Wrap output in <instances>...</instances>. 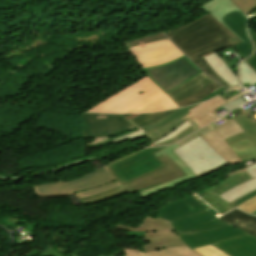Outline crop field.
I'll return each mask as SVG.
<instances>
[{"mask_svg": "<svg viewBox=\"0 0 256 256\" xmlns=\"http://www.w3.org/2000/svg\"><path fill=\"white\" fill-rule=\"evenodd\" d=\"M215 124H210L199 131L191 134L187 138L180 141L179 146L188 142L189 140L201 136L206 142H208L220 155H222L230 164L241 162V160L232 152L227 146L228 144L220 137V135L213 128Z\"/></svg>", "mask_w": 256, "mask_h": 256, "instance_id": "d9b57169", "label": "crop field"}, {"mask_svg": "<svg viewBox=\"0 0 256 256\" xmlns=\"http://www.w3.org/2000/svg\"><path fill=\"white\" fill-rule=\"evenodd\" d=\"M187 118H191L188 114L185 116H182L170 124L166 126H162L156 130L144 133L145 137L149 140V142L152 144L153 142L157 141L158 139L162 138L163 136H166L169 134L171 131L176 129L184 120ZM191 120V119H190ZM192 121V120H191ZM193 122V121H192ZM194 123V122H193ZM195 125V124H194ZM196 126V125H195ZM197 127V126H196ZM198 128V127H197ZM199 129V128H198Z\"/></svg>", "mask_w": 256, "mask_h": 256, "instance_id": "eef30255", "label": "crop field"}, {"mask_svg": "<svg viewBox=\"0 0 256 256\" xmlns=\"http://www.w3.org/2000/svg\"><path fill=\"white\" fill-rule=\"evenodd\" d=\"M239 78L242 85L256 83V72L251 69L244 61L239 64Z\"/></svg>", "mask_w": 256, "mask_h": 256, "instance_id": "120bbe31", "label": "crop field"}, {"mask_svg": "<svg viewBox=\"0 0 256 256\" xmlns=\"http://www.w3.org/2000/svg\"><path fill=\"white\" fill-rule=\"evenodd\" d=\"M165 147L145 149L135 155L112 163L107 168L122 183H127L148 173L156 171L165 165L153 154Z\"/></svg>", "mask_w": 256, "mask_h": 256, "instance_id": "d8731c3e", "label": "crop field"}, {"mask_svg": "<svg viewBox=\"0 0 256 256\" xmlns=\"http://www.w3.org/2000/svg\"><path fill=\"white\" fill-rule=\"evenodd\" d=\"M200 202H198L191 195L184 197L183 199L179 198L173 202L164 204L161 208L157 209L155 212L161 213L160 216L167 221L189 216L197 212L206 210Z\"/></svg>", "mask_w": 256, "mask_h": 256, "instance_id": "5142ce71", "label": "crop field"}, {"mask_svg": "<svg viewBox=\"0 0 256 256\" xmlns=\"http://www.w3.org/2000/svg\"><path fill=\"white\" fill-rule=\"evenodd\" d=\"M159 159L167 166L156 172L124 184L125 189L132 193L149 186L162 184L166 181L186 175L166 154Z\"/></svg>", "mask_w": 256, "mask_h": 256, "instance_id": "28ad6ade", "label": "crop field"}, {"mask_svg": "<svg viewBox=\"0 0 256 256\" xmlns=\"http://www.w3.org/2000/svg\"><path fill=\"white\" fill-rule=\"evenodd\" d=\"M166 35L207 75L225 88H231L202 58L241 42L217 20L207 14Z\"/></svg>", "mask_w": 256, "mask_h": 256, "instance_id": "8a807250", "label": "crop field"}, {"mask_svg": "<svg viewBox=\"0 0 256 256\" xmlns=\"http://www.w3.org/2000/svg\"><path fill=\"white\" fill-rule=\"evenodd\" d=\"M222 86H220L219 84H217L216 82L213 83L212 85H210L209 87H207L206 89H204L203 91L193 95L192 97L185 99L183 101L177 102L175 103L178 107H182V106H186V105H191L197 101H199L200 99L204 98L205 96H207L208 94L212 93L213 91L217 90L218 88H220Z\"/></svg>", "mask_w": 256, "mask_h": 256, "instance_id": "1d83c4d3", "label": "crop field"}, {"mask_svg": "<svg viewBox=\"0 0 256 256\" xmlns=\"http://www.w3.org/2000/svg\"><path fill=\"white\" fill-rule=\"evenodd\" d=\"M224 91H226V90L223 89V88H220V89H218L217 91H215V92H213L212 94H210L209 96H207V97H205L204 99L200 100L199 102L205 101V100H209L210 98H212V97H214V96H217V95H219L220 93H222V92H224Z\"/></svg>", "mask_w": 256, "mask_h": 256, "instance_id": "5d738f31", "label": "crop field"}, {"mask_svg": "<svg viewBox=\"0 0 256 256\" xmlns=\"http://www.w3.org/2000/svg\"><path fill=\"white\" fill-rule=\"evenodd\" d=\"M179 147L177 144L172 145L162 151L155 153L158 157L164 153H166L187 175L183 178H178L169 182H166L162 185L153 186L150 188H146L143 190L138 191L141 197L149 196L151 194H155L157 192L166 190L167 188L174 187L179 185L187 180L195 179L193 172L188 168V166L172 151L173 149Z\"/></svg>", "mask_w": 256, "mask_h": 256, "instance_id": "4a817a6b", "label": "crop field"}, {"mask_svg": "<svg viewBox=\"0 0 256 256\" xmlns=\"http://www.w3.org/2000/svg\"><path fill=\"white\" fill-rule=\"evenodd\" d=\"M230 178L224 180L223 182L198 193L208 204H210L216 211L221 215L236 208L226 201L222 200L218 196L225 192L226 190L233 188L249 179H252L246 172L237 175L229 176Z\"/></svg>", "mask_w": 256, "mask_h": 256, "instance_id": "d1516ede", "label": "crop field"}, {"mask_svg": "<svg viewBox=\"0 0 256 256\" xmlns=\"http://www.w3.org/2000/svg\"><path fill=\"white\" fill-rule=\"evenodd\" d=\"M170 223L178 233L202 232L228 224L215 218L208 210L186 218L170 221Z\"/></svg>", "mask_w": 256, "mask_h": 256, "instance_id": "cbeb9de0", "label": "crop field"}, {"mask_svg": "<svg viewBox=\"0 0 256 256\" xmlns=\"http://www.w3.org/2000/svg\"><path fill=\"white\" fill-rule=\"evenodd\" d=\"M210 67L226 82L232 86L239 85L238 79L234 76L231 70L225 65V63L215 54L204 57ZM231 86V87H232Z\"/></svg>", "mask_w": 256, "mask_h": 256, "instance_id": "dafd665d", "label": "crop field"}, {"mask_svg": "<svg viewBox=\"0 0 256 256\" xmlns=\"http://www.w3.org/2000/svg\"><path fill=\"white\" fill-rule=\"evenodd\" d=\"M226 103L221 97L214 98L210 101L204 102L193 109L189 110L191 113L189 114L192 120L196 123V125L200 128L216 119L217 116L213 115V111L216 108L220 107Z\"/></svg>", "mask_w": 256, "mask_h": 256, "instance_id": "bc2a9ffb", "label": "crop field"}, {"mask_svg": "<svg viewBox=\"0 0 256 256\" xmlns=\"http://www.w3.org/2000/svg\"><path fill=\"white\" fill-rule=\"evenodd\" d=\"M113 227L127 231H146V244L140 245L145 252L154 251L161 248L185 246L170 223L161 218H152L146 216L136 227L120 224Z\"/></svg>", "mask_w": 256, "mask_h": 256, "instance_id": "e52e79f7", "label": "crop field"}, {"mask_svg": "<svg viewBox=\"0 0 256 256\" xmlns=\"http://www.w3.org/2000/svg\"><path fill=\"white\" fill-rule=\"evenodd\" d=\"M136 115H138V114H132V115L126 117V118L128 119V118H131V117L136 116Z\"/></svg>", "mask_w": 256, "mask_h": 256, "instance_id": "425ffa30", "label": "crop field"}, {"mask_svg": "<svg viewBox=\"0 0 256 256\" xmlns=\"http://www.w3.org/2000/svg\"><path fill=\"white\" fill-rule=\"evenodd\" d=\"M172 108L177 106L159 87L145 77L87 112L140 113Z\"/></svg>", "mask_w": 256, "mask_h": 256, "instance_id": "ac0d7876", "label": "crop field"}, {"mask_svg": "<svg viewBox=\"0 0 256 256\" xmlns=\"http://www.w3.org/2000/svg\"><path fill=\"white\" fill-rule=\"evenodd\" d=\"M126 192V190L124 189V187H119L113 190H109L103 193H100L98 195L92 196V197H88V198H84V199H79L83 204H90V203H94V202H98V201H102L108 198H113L115 196H119L120 194Z\"/></svg>", "mask_w": 256, "mask_h": 256, "instance_id": "bd1437ed", "label": "crop field"}, {"mask_svg": "<svg viewBox=\"0 0 256 256\" xmlns=\"http://www.w3.org/2000/svg\"><path fill=\"white\" fill-rule=\"evenodd\" d=\"M247 101L241 96L239 98H237L236 100L232 101L231 103H227L225 105H223L222 107H224L226 110H228L229 112L232 111L233 109L241 106L242 104L246 103Z\"/></svg>", "mask_w": 256, "mask_h": 256, "instance_id": "c21b1889", "label": "crop field"}, {"mask_svg": "<svg viewBox=\"0 0 256 256\" xmlns=\"http://www.w3.org/2000/svg\"><path fill=\"white\" fill-rule=\"evenodd\" d=\"M243 211H246L248 213H252L256 210V197L250 199L249 201L237 206Z\"/></svg>", "mask_w": 256, "mask_h": 256, "instance_id": "c035e120", "label": "crop field"}, {"mask_svg": "<svg viewBox=\"0 0 256 256\" xmlns=\"http://www.w3.org/2000/svg\"><path fill=\"white\" fill-rule=\"evenodd\" d=\"M194 250L200 253L202 256H227L211 245L195 248Z\"/></svg>", "mask_w": 256, "mask_h": 256, "instance_id": "028f5c9d", "label": "crop field"}, {"mask_svg": "<svg viewBox=\"0 0 256 256\" xmlns=\"http://www.w3.org/2000/svg\"><path fill=\"white\" fill-rule=\"evenodd\" d=\"M84 138L103 137L135 128L121 115L82 113Z\"/></svg>", "mask_w": 256, "mask_h": 256, "instance_id": "5a996713", "label": "crop field"}, {"mask_svg": "<svg viewBox=\"0 0 256 256\" xmlns=\"http://www.w3.org/2000/svg\"><path fill=\"white\" fill-rule=\"evenodd\" d=\"M248 32L255 46V52L250 58L245 60V62L256 71V33L253 32L251 28L248 29Z\"/></svg>", "mask_w": 256, "mask_h": 256, "instance_id": "b80d0937", "label": "crop field"}, {"mask_svg": "<svg viewBox=\"0 0 256 256\" xmlns=\"http://www.w3.org/2000/svg\"><path fill=\"white\" fill-rule=\"evenodd\" d=\"M229 256H256V238L248 235L212 244Z\"/></svg>", "mask_w": 256, "mask_h": 256, "instance_id": "733c2abd", "label": "crop field"}, {"mask_svg": "<svg viewBox=\"0 0 256 256\" xmlns=\"http://www.w3.org/2000/svg\"><path fill=\"white\" fill-rule=\"evenodd\" d=\"M173 151L190 167L197 178L230 166L200 136Z\"/></svg>", "mask_w": 256, "mask_h": 256, "instance_id": "412701ff", "label": "crop field"}, {"mask_svg": "<svg viewBox=\"0 0 256 256\" xmlns=\"http://www.w3.org/2000/svg\"><path fill=\"white\" fill-rule=\"evenodd\" d=\"M247 234L248 233L228 224L211 231L179 234V236L186 246L192 249Z\"/></svg>", "mask_w": 256, "mask_h": 256, "instance_id": "22f410ed", "label": "crop field"}, {"mask_svg": "<svg viewBox=\"0 0 256 256\" xmlns=\"http://www.w3.org/2000/svg\"><path fill=\"white\" fill-rule=\"evenodd\" d=\"M228 146L243 162L252 158L256 161V136L243 139Z\"/></svg>", "mask_w": 256, "mask_h": 256, "instance_id": "00972430", "label": "crop field"}, {"mask_svg": "<svg viewBox=\"0 0 256 256\" xmlns=\"http://www.w3.org/2000/svg\"><path fill=\"white\" fill-rule=\"evenodd\" d=\"M100 256V255H99Z\"/></svg>", "mask_w": 256, "mask_h": 256, "instance_id": "73cf0c24", "label": "crop field"}, {"mask_svg": "<svg viewBox=\"0 0 256 256\" xmlns=\"http://www.w3.org/2000/svg\"><path fill=\"white\" fill-rule=\"evenodd\" d=\"M240 7L246 14L256 7V0H231Z\"/></svg>", "mask_w": 256, "mask_h": 256, "instance_id": "0bd39190", "label": "crop field"}, {"mask_svg": "<svg viewBox=\"0 0 256 256\" xmlns=\"http://www.w3.org/2000/svg\"><path fill=\"white\" fill-rule=\"evenodd\" d=\"M237 123L243 128L245 132L235 135L233 137L225 139V141L230 144L239 141L243 138L251 137L256 135V122H251L242 113L233 117Z\"/></svg>", "mask_w": 256, "mask_h": 256, "instance_id": "730fd06b", "label": "crop field"}, {"mask_svg": "<svg viewBox=\"0 0 256 256\" xmlns=\"http://www.w3.org/2000/svg\"><path fill=\"white\" fill-rule=\"evenodd\" d=\"M141 68L172 61L184 54L169 40L129 48Z\"/></svg>", "mask_w": 256, "mask_h": 256, "instance_id": "3316defc", "label": "crop field"}, {"mask_svg": "<svg viewBox=\"0 0 256 256\" xmlns=\"http://www.w3.org/2000/svg\"><path fill=\"white\" fill-rule=\"evenodd\" d=\"M254 196H256V191L249 193L248 195H246V196H244V197L238 199L237 201H235V202H233V203H231V204L237 206V205H239V204H241V203H243V202L249 200L250 198H252V197H254Z\"/></svg>", "mask_w": 256, "mask_h": 256, "instance_id": "b54c1fbb", "label": "crop field"}, {"mask_svg": "<svg viewBox=\"0 0 256 256\" xmlns=\"http://www.w3.org/2000/svg\"><path fill=\"white\" fill-rule=\"evenodd\" d=\"M125 256H199L187 247L162 249L154 252L143 253L139 250L124 249Z\"/></svg>", "mask_w": 256, "mask_h": 256, "instance_id": "a9b5d70f", "label": "crop field"}, {"mask_svg": "<svg viewBox=\"0 0 256 256\" xmlns=\"http://www.w3.org/2000/svg\"><path fill=\"white\" fill-rule=\"evenodd\" d=\"M215 82L213 79L209 78L204 72L195 77L193 80L183 85L182 87L172 91L167 94L171 100L175 103L182 99H185L198 91L206 88L210 84Z\"/></svg>", "mask_w": 256, "mask_h": 256, "instance_id": "214f88e0", "label": "crop field"}, {"mask_svg": "<svg viewBox=\"0 0 256 256\" xmlns=\"http://www.w3.org/2000/svg\"><path fill=\"white\" fill-rule=\"evenodd\" d=\"M244 171H246L253 178H255L256 177V164H253L251 166L245 167L243 169H239V170L233 171V172H231V173H229L227 175L229 176V175L237 174V173L244 172Z\"/></svg>", "mask_w": 256, "mask_h": 256, "instance_id": "03da06ac", "label": "crop field"}, {"mask_svg": "<svg viewBox=\"0 0 256 256\" xmlns=\"http://www.w3.org/2000/svg\"><path fill=\"white\" fill-rule=\"evenodd\" d=\"M253 214H255V215H256V211H255Z\"/></svg>", "mask_w": 256, "mask_h": 256, "instance_id": "25e5ab78", "label": "crop field"}, {"mask_svg": "<svg viewBox=\"0 0 256 256\" xmlns=\"http://www.w3.org/2000/svg\"><path fill=\"white\" fill-rule=\"evenodd\" d=\"M201 7L243 41L235 45L243 58L252 53L246 31L247 17L230 0H209Z\"/></svg>", "mask_w": 256, "mask_h": 256, "instance_id": "f4fd0767", "label": "crop field"}, {"mask_svg": "<svg viewBox=\"0 0 256 256\" xmlns=\"http://www.w3.org/2000/svg\"><path fill=\"white\" fill-rule=\"evenodd\" d=\"M254 190H256V178L249 180L236 188L226 191L219 197L230 203Z\"/></svg>", "mask_w": 256, "mask_h": 256, "instance_id": "ae1a2a85", "label": "crop field"}, {"mask_svg": "<svg viewBox=\"0 0 256 256\" xmlns=\"http://www.w3.org/2000/svg\"><path fill=\"white\" fill-rule=\"evenodd\" d=\"M147 77L166 94L203 72L185 56L172 62L143 69Z\"/></svg>", "mask_w": 256, "mask_h": 256, "instance_id": "dd49c442", "label": "crop field"}, {"mask_svg": "<svg viewBox=\"0 0 256 256\" xmlns=\"http://www.w3.org/2000/svg\"><path fill=\"white\" fill-rule=\"evenodd\" d=\"M226 123L214 127L223 139L233 136L235 134L243 132L241 127L235 122V120L226 115L222 117Z\"/></svg>", "mask_w": 256, "mask_h": 256, "instance_id": "d3111659", "label": "crop field"}, {"mask_svg": "<svg viewBox=\"0 0 256 256\" xmlns=\"http://www.w3.org/2000/svg\"><path fill=\"white\" fill-rule=\"evenodd\" d=\"M245 93H247V91H245V92H243V93H240V94H238V95H236V96H234V97H232V98H230V99H228V100H226V101L229 103V102H231L232 100L236 99L237 97H239V96H241V95H243V94H245Z\"/></svg>", "mask_w": 256, "mask_h": 256, "instance_id": "d23c7cc5", "label": "crop field"}, {"mask_svg": "<svg viewBox=\"0 0 256 256\" xmlns=\"http://www.w3.org/2000/svg\"><path fill=\"white\" fill-rule=\"evenodd\" d=\"M166 38L167 37H165L163 33L159 32V33L143 36L140 38L124 41V44L127 47H131V46H135V45L151 43V42L166 39Z\"/></svg>", "mask_w": 256, "mask_h": 256, "instance_id": "5866460e", "label": "crop field"}, {"mask_svg": "<svg viewBox=\"0 0 256 256\" xmlns=\"http://www.w3.org/2000/svg\"><path fill=\"white\" fill-rule=\"evenodd\" d=\"M142 133H144V131H143V129H140V130L137 131V132H134V133L125 135V136H123V137H120V138L111 140V142H112L114 145H116V144H118V143H121V142H123V141H126V140H128V139H130L131 142H133V141H136V140L145 138Z\"/></svg>", "mask_w": 256, "mask_h": 256, "instance_id": "e1f06a70", "label": "crop field"}, {"mask_svg": "<svg viewBox=\"0 0 256 256\" xmlns=\"http://www.w3.org/2000/svg\"><path fill=\"white\" fill-rule=\"evenodd\" d=\"M198 105V104H196ZM196 105H193V106H189V107H186V108H183V109H180L166 117H164L162 120L150 125V126H147V127H144L143 129L145 130V132L149 131V130H153V129H156L162 125H165V124H168L170 123L171 121H173L174 119L186 114V113H189V109L193 108L194 106ZM150 132V131H149Z\"/></svg>", "mask_w": 256, "mask_h": 256, "instance_id": "d32e631a", "label": "crop field"}, {"mask_svg": "<svg viewBox=\"0 0 256 256\" xmlns=\"http://www.w3.org/2000/svg\"><path fill=\"white\" fill-rule=\"evenodd\" d=\"M174 111H176V110L159 112V113L141 114L139 116L129 119V121L139 129L141 127L150 125V124L158 121L159 119L163 118L165 115H167L171 112H174Z\"/></svg>", "mask_w": 256, "mask_h": 256, "instance_id": "750c4746", "label": "crop field"}, {"mask_svg": "<svg viewBox=\"0 0 256 256\" xmlns=\"http://www.w3.org/2000/svg\"><path fill=\"white\" fill-rule=\"evenodd\" d=\"M1 248V247H0Z\"/></svg>", "mask_w": 256, "mask_h": 256, "instance_id": "89e229c0", "label": "crop field"}, {"mask_svg": "<svg viewBox=\"0 0 256 256\" xmlns=\"http://www.w3.org/2000/svg\"><path fill=\"white\" fill-rule=\"evenodd\" d=\"M196 130H198V129L188 119L185 122H183L176 130H174L172 133H170L168 136L153 143L151 146L170 145L174 142H177L181 138L195 132Z\"/></svg>", "mask_w": 256, "mask_h": 256, "instance_id": "4177f3b9", "label": "crop field"}, {"mask_svg": "<svg viewBox=\"0 0 256 256\" xmlns=\"http://www.w3.org/2000/svg\"><path fill=\"white\" fill-rule=\"evenodd\" d=\"M113 180L116 179L112 176V174L109 171L106 170L105 167H102L73 181L63 182L62 180L55 183L36 185L33 187L38 197H63L76 195V197L79 199L119 187L121 186V184L118 181H116L114 183L94 189L92 191L78 194H73L72 191H79L92 188Z\"/></svg>", "mask_w": 256, "mask_h": 256, "instance_id": "34b2d1b8", "label": "crop field"}, {"mask_svg": "<svg viewBox=\"0 0 256 256\" xmlns=\"http://www.w3.org/2000/svg\"><path fill=\"white\" fill-rule=\"evenodd\" d=\"M219 219L250 233L256 237V217L245 214L237 209L219 217Z\"/></svg>", "mask_w": 256, "mask_h": 256, "instance_id": "92a150f3", "label": "crop field"}]
</instances>
